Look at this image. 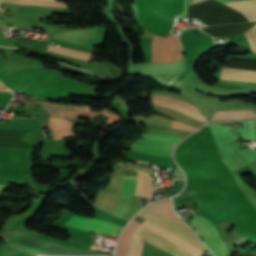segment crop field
Instances as JSON below:
<instances>
[{"instance_id": "17", "label": "crop field", "mask_w": 256, "mask_h": 256, "mask_svg": "<svg viewBox=\"0 0 256 256\" xmlns=\"http://www.w3.org/2000/svg\"><path fill=\"white\" fill-rule=\"evenodd\" d=\"M141 137L148 138V139L163 140V141L174 142V143H177L182 140V138L169 136V135H159V134H141Z\"/></svg>"}, {"instance_id": "13", "label": "crop field", "mask_w": 256, "mask_h": 256, "mask_svg": "<svg viewBox=\"0 0 256 256\" xmlns=\"http://www.w3.org/2000/svg\"><path fill=\"white\" fill-rule=\"evenodd\" d=\"M151 102H152V105H159V106H163V107H166V108H170V109L182 112V113H184L186 115H189L191 117H194V118L202 121L203 123L206 122V119L203 115L195 113V112H193V111H191V110H189L185 107H181V106L171 104V103H168V102H164V101H160V100H151Z\"/></svg>"}, {"instance_id": "3", "label": "crop field", "mask_w": 256, "mask_h": 256, "mask_svg": "<svg viewBox=\"0 0 256 256\" xmlns=\"http://www.w3.org/2000/svg\"><path fill=\"white\" fill-rule=\"evenodd\" d=\"M189 224L202 237L215 256H226V245L212 223L204 217L194 215Z\"/></svg>"}, {"instance_id": "22", "label": "crop field", "mask_w": 256, "mask_h": 256, "mask_svg": "<svg viewBox=\"0 0 256 256\" xmlns=\"http://www.w3.org/2000/svg\"><path fill=\"white\" fill-rule=\"evenodd\" d=\"M6 187H7V185H0V196L3 194Z\"/></svg>"}, {"instance_id": "16", "label": "crop field", "mask_w": 256, "mask_h": 256, "mask_svg": "<svg viewBox=\"0 0 256 256\" xmlns=\"http://www.w3.org/2000/svg\"><path fill=\"white\" fill-rule=\"evenodd\" d=\"M133 197L134 196L122 199L120 205L118 206V208L114 213V216L122 218L123 215L127 212L128 208L130 207L133 201Z\"/></svg>"}, {"instance_id": "12", "label": "crop field", "mask_w": 256, "mask_h": 256, "mask_svg": "<svg viewBox=\"0 0 256 256\" xmlns=\"http://www.w3.org/2000/svg\"><path fill=\"white\" fill-rule=\"evenodd\" d=\"M47 51L74 57V58H79L83 60L90 61L92 54L87 53V52H82L78 50H73V49H67V48H62V47H57V46H48Z\"/></svg>"}, {"instance_id": "7", "label": "crop field", "mask_w": 256, "mask_h": 256, "mask_svg": "<svg viewBox=\"0 0 256 256\" xmlns=\"http://www.w3.org/2000/svg\"><path fill=\"white\" fill-rule=\"evenodd\" d=\"M48 127L54 132L55 138L70 137L75 124L64 119L50 117Z\"/></svg>"}, {"instance_id": "8", "label": "crop field", "mask_w": 256, "mask_h": 256, "mask_svg": "<svg viewBox=\"0 0 256 256\" xmlns=\"http://www.w3.org/2000/svg\"><path fill=\"white\" fill-rule=\"evenodd\" d=\"M220 78L256 82V70L223 67Z\"/></svg>"}, {"instance_id": "1", "label": "crop field", "mask_w": 256, "mask_h": 256, "mask_svg": "<svg viewBox=\"0 0 256 256\" xmlns=\"http://www.w3.org/2000/svg\"><path fill=\"white\" fill-rule=\"evenodd\" d=\"M137 231L146 234L152 238H155L172 248L182 252L186 256H200L203 252L197 249L196 247L192 246L185 240L181 239L177 235L155 225L152 223H149L145 221L138 229ZM135 231L133 234L134 236L150 243L153 244L167 253L171 254L172 256H184L182 253L172 249L171 247L155 240L152 239L146 235H143L139 232ZM132 237L131 243H130V248H129V253L127 256H140L141 255V250H142V244L143 241L136 238Z\"/></svg>"}, {"instance_id": "14", "label": "crop field", "mask_w": 256, "mask_h": 256, "mask_svg": "<svg viewBox=\"0 0 256 256\" xmlns=\"http://www.w3.org/2000/svg\"><path fill=\"white\" fill-rule=\"evenodd\" d=\"M1 2L23 3V4H31V5H35V6H61V7H68V6H66V3L53 2V1H47V0H1Z\"/></svg>"}, {"instance_id": "24", "label": "crop field", "mask_w": 256, "mask_h": 256, "mask_svg": "<svg viewBox=\"0 0 256 256\" xmlns=\"http://www.w3.org/2000/svg\"><path fill=\"white\" fill-rule=\"evenodd\" d=\"M203 1H215V0H191V2H203Z\"/></svg>"}, {"instance_id": "10", "label": "crop field", "mask_w": 256, "mask_h": 256, "mask_svg": "<svg viewBox=\"0 0 256 256\" xmlns=\"http://www.w3.org/2000/svg\"><path fill=\"white\" fill-rule=\"evenodd\" d=\"M38 103V102H37ZM43 106L51 116L64 117L61 111H90L88 106H62V105H53V104H44L39 103Z\"/></svg>"}, {"instance_id": "11", "label": "crop field", "mask_w": 256, "mask_h": 256, "mask_svg": "<svg viewBox=\"0 0 256 256\" xmlns=\"http://www.w3.org/2000/svg\"><path fill=\"white\" fill-rule=\"evenodd\" d=\"M232 8H241V7H256V0L254 1H241V2H228L224 3ZM243 13L250 21L256 20V8H241L236 9Z\"/></svg>"}, {"instance_id": "4", "label": "crop field", "mask_w": 256, "mask_h": 256, "mask_svg": "<svg viewBox=\"0 0 256 256\" xmlns=\"http://www.w3.org/2000/svg\"><path fill=\"white\" fill-rule=\"evenodd\" d=\"M177 37V35H173L166 39L154 37L152 40L151 61L178 62L183 50Z\"/></svg>"}, {"instance_id": "21", "label": "crop field", "mask_w": 256, "mask_h": 256, "mask_svg": "<svg viewBox=\"0 0 256 256\" xmlns=\"http://www.w3.org/2000/svg\"><path fill=\"white\" fill-rule=\"evenodd\" d=\"M37 256H100V255H37Z\"/></svg>"}, {"instance_id": "2", "label": "crop field", "mask_w": 256, "mask_h": 256, "mask_svg": "<svg viewBox=\"0 0 256 256\" xmlns=\"http://www.w3.org/2000/svg\"><path fill=\"white\" fill-rule=\"evenodd\" d=\"M138 216L145 218L149 221H152L169 231L181 236L200 250L204 251L207 248L203 244V242L198 238V236L189 228L165 217L156 212H153L147 208H145Z\"/></svg>"}, {"instance_id": "20", "label": "crop field", "mask_w": 256, "mask_h": 256, "mask_svg": "<svg viewBox=\"0 0 256 256\" xmlns=\"http://www.w3.org/2000/svg\"><path fill=\"white\" fill-rule=\"evenodd\" d=\"M172 128L182 129L189 132H192L193 130L196 129V127H193L184 123L176 122V121H172Z\"/></svg>"}, {"instance_id": "18", "label": "crop field", "mask_w": 256, "mask_h": 256, "mask_svg": "<svg viewBox=\"0 0 256 256\" xmlns=\"http://www.w3.org/2000/svg\"><path fill=\"white\" fill-rule=\"evenodd\" d=\"M245 37L249 41L251 51L256 52V25L253 26L250 30L244 33Z\"/></svg>"}, {"instance_id": "15", "label": "crop field", "mask_w": 256, "mask_h": 256, "mask_svg": "<svg viewBox=\"0 0 256 256\" xmlns=\"http://www.w3.org/2000/svg\"><path fill=\"white\" fill-rule=\"evenodd\" d=\"M136 178V177H124ZM136 187V179H124L122 198L134 195Z\"/></svg>"}, {"instance_id": "23", "label": "crop field", "mask_w": 256, "mask_h": 256, "mask_svg": "<svg viewBox=\"0 0 256 256\" xmlns=\"http://www.w3.org/2000/svg\"><path fill=\"white\" fill-rule=\"evenodd\" d=\"M0 91L10 92V91L7 90L1 83H0Z\"/></svg>"}, {"instance_id": "6", "label": "crop field", "mask_w": 256, "mask_h": 256, "mask_svg": "<svg viewBox=\"0 0 256 256\" xmlns=\"http://www.w3.org/2000/svg\"><path fill=\"white\" fill-rule=\"evenodd\" d=\"M174 143L138 139L131 145L133 151L171 157V150Z\"/></svg>"}, {"instance_id": "19", "label": "crop field", "mask_w": 256, "mask_h": 256, "mask_svg": "<svg viewBox=\"0 0 256 256\" xmlns=\"http://www.w3.org/2000/svg\"><path fill=\"white\" fill-rule=\"evenodd\" d=\"M151 99H161V100L170 101V102H173V103H176V104H179V105L186 106V107L198 112V110L195 107H193V106H191V105H189V104H187V103H185L181 100H178V99H174V98H170V97H166V96H159V95H151Z\"/></svg>"}, {"instance_id": "5", "label": "crop field", "mask_w": 256, "mask_h": 256, "mask_svg": "<svg viewBox=\"0 0 256 256\" xmlns=\"http://www.w3.org/2000/svg\"><path fill=\"white\" fill-rule=\"evenodd\" d=\"M65 224L87 231L101 233L113 237L115 236L117 230L122 227L95 218H82L76 215L70 218V220Z\"/></svg>"}, {"instance_id": "9", "label": "crop field", "mask_w": 256, "mask_h": 256, "mask_svg": "<svg viewBox=\"0 0 256 256\" xmlns=\"http://www.w3.org/2000/svg\"><path fill=\"white\" fill-rule=\"evenodd\" d=\"M256 113L252 110H233V111H216L211 120L219 119H237V118H255Z\"/></svg>"}]
</instances>
